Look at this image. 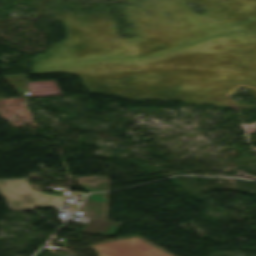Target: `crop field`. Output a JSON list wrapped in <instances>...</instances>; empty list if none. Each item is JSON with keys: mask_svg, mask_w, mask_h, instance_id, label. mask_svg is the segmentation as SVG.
I'll return each mask as SVG.
<instances>
[{"mask_svg": "<svg viewBox=\"0 0 256 256\" xmlns=\"http://www.w3.org/2000/svg\"><path fill=\"white\" fill-rule=\"evenodd\" d=\"M0 190L14 209L63 205V190H55V196L33 190L25 179L0 180Z\"/></svg>", "mask_w": 256, "mask_h": 256, "instance_id": "obj_1", "label": "crop field"}, {"mask_svg": "<svg viewBox=\"0 0 256 256\" xmlns=\"http://www.w3.org/2000/svg\"><path fill=\"white\" fill-rule=\"evenodd\" d=\"M94 247L101 256H170L136 237Z\"/></svg>", "mask_w": 256, "mask_h": 256, "instance_id": "obj_2", "label": "crop field"}, {"mask_svg": "<svg viewBox=\"0 0 256 256\" xmlns=\"http://www.w3.org/2000/svg\"><path fill=\"white\" fill-rule=\"evenodd\" d=\"M107 193H95L86 197L79 210L88 218L105 220Z\"/></svg>", "mask_w": 256, "mask_h": 256, "instance_id": "obj_3", "label": "crop field"}, {"mask_svg": "<svg viewBox=\"0 0 256 256\" xmlns=\"http://www.w3.org/2000/svg\"><path fill=\"white\" fill-rule=\"evenodd\" d=\"M31 96L61 94L55 80L28 82Z\"/></svg>", "mask_w": 256, "mask_h": 256, "instance_id": "obj_4", "label": "crop field"}, {"mask_svg": "<svg viewBox=\"0 0 256 256\" xmlns=\"http://www.w3.org/2000/svg\"><path fill=\"white\" fill-rule=\"evenodd\" d=\"M118 225L117 222L90 220L82 231L114 235Z\"/></svg>", "mask_w": 256, "mask_h": 256, "instance_id": "obj_5", "label": "crop field"}, {"mask_svg": "<svg viewBox=\"0 0 256 256\" xmlns=\"http://www.w3.org/2000/svg\"><path fill=\"white\" fill-rule=\"evenodd\" d=\"M79 184L87 191L105 190V176L77 178Z\"/></svg>", "mask_w": 256, "mask_h": 256, "instance_id": "obj_6", "label": "crop field"}]
</instances>
